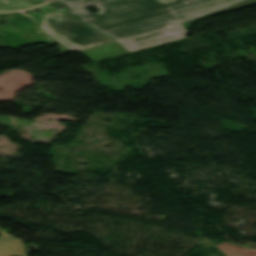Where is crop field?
Listing matches in <instances>:
<instances>
[{
  "instance_id": "obj_1",
  "label": "crop field",
  "mask_w": 256,
  "mask_h": 256,
  "mask_svg": "<svg viewBox=\"0 0 256 256\" xmlns=\"http://www.w3.org/2000/svg\"><path fill=\"white\" fill-rule=\"evenodd\" d=\"M65 12L114 39L130 52L183 39L182 23L236 8L256 0H59ZM96 6L97 14L85 8Z\"/></svg>"
},
{
  "instance_id": "obj_2",
  "label": "crop field",
  "mask_w": 256,
  "mask_h": 256,
  "mask_svg": "<svg viewBox=\"0 0 256 256\" xmlns=\"http://www.w3.org/2000/svg\"><path fill=\"white\" fill-rule=\"evenodd\" d=\"M40 27L44 33L71 51L113 42L62 12L44 15Z\"/></svg>"
},
{
  "instance_id": "obj_3",
  "label": "crop field",
  "mask_w": 256,
  "mask_h": 256,
  "mask_svg": "<svg viewBox=\"0 0 256 256\" xmlns=\"http://www.w3.org/2000/svg\"><path fill=\"white\" fill-rule=\"evenodd\" d=\"M92 61L97 62L100 60L120 56L129 53L126 49L121 47L119 44L114 43L86 51H82Z\"/></svg>"
},
{
  "instance_id": "obj_4",
  "label": "crop field",
  "mask_w": 256,
  "mask_h": 256,
  "mask_svg": "<svg viewBox=\"0 0 256 256\" xmlns=\"http://www.w3.org/2000/svg\"><path fill=\"white\" fill-rule=\"evenodd\" d=\"M0 256H25L22 243L0 231Z\"/></svg>"
},
{
  "instance_id": "obj_5",
  "label": "crop field",
  "mask_w": 256,
  "mask_h": 256,
  "mask_svg": "<svg viewBox=\"0 0 256 256\" xmlns=\"http://www.w3.org/2000/svg\"><path fill=\"white\" fill-rule=\"evenodd\" d=\"M42 4L37 0H0V12L28 9Z\"/></svg>"
},
{
  "instance_id": "obj_6",
  "label": "crop field",
  "mask_w": 256,
  "mask_h": 256,
  "mask_svg": "<svg viewBox=\"0 0 256 256\" xmlns=\"http://www.w3.org/2000/svg\"><path fill=\"white\" fill-rule=\"evenodd\" d=\"M41 1L47 2V1H50V0H41Z\"/></svg>"
}]
</instances>
